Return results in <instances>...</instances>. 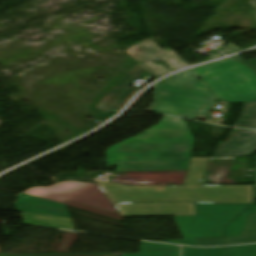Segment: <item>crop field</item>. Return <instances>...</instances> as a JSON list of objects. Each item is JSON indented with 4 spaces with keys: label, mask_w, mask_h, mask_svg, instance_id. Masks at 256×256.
Segmentation results:
<instances>
[{
    "label": "crop field",
    "mask_w": 256,
    "mask_h": 256,
    "mask_svg": "<svg viewBox=\"0 0 256 256\" xmlns=\"http://www.w3.org/2000/svg\"><path fill=\"white\" fill-rule=\"evenodd\" d=\"M209 158H191L183 187L95 181L122 217L194 216V203L252 204L253 186H201Z\"/></svg>",
    "instance_id": "1"
},
{
    "label": "crop field",
    "mask_w": 256,
    "mask_h": 256,
    "mask_svg": "<svg viewBox=\"0 0 256 256\" xmlns=\"http://www.w3.org/2000/svg\"><path fill=\"white\" fill-rule=\"evenodd\" d=\"M145 132L107 149L108 166L117 171L187 170L194 139L184 120L163 116Z\"/></svg>",
    "instance_id": "2"
},
{
    "label": "crop field",
    "mask_w": 256,
    "mask_h": 256,
    "mask_svg": "<svg viewBox=\"0 0 256 256\" xmlns=\"http://www.w3.org/2000/svg\"><path fill=\"white\" fill-rule=\"evenodd\" d=\"M219 99L239 103L256 101V74L231 59L194 68ZM246 82L242 85L240 82Z\"/></svg>",
    "instance_id": "3"
},
{
    "label": "crop field",
    "mask_w": 256,
    "mask_h": 256,
    "mask_svg": "<svg viewBox=\"0 0 256 256\" xmlns=\"http://www.w3.org/2000/svg\"><path fill=\"white\" fill-rule=\"evenodd\" d=\"M155 100L150 111L155 114H168L192 119H204L216 104L212 92L184 89L164 85L153 86ZM197 112L200 113L198 116Z\"/></svg>",
    "instance_id": "4"
},
{
    "label": "crop field",
    "mask_w": 256,
    "mask_h": 256,
    "mask_svg": "<svg viewBox=\"0 0 256 256\" xmlns=\"http://www.w3.org/2000/svg\"><path fill=\"white\" fill-rule=\"evenodd\" d=\"M248 206L195 204V217H174L185 240L164 242L198 246L195 238L223 237L222 227Z\"/></svg>",
    "instance_id": "5"
},
{
    "label": "crop field",
    "mask_w": 256,
    "mask_h": 256,
    "mask_svg": "<svg viewBox=\"0 0 256 256\" xmlns=\"http://www.w3.org/2000/svg\"><path fill=\"white\" fill-rule=\"evenodd\" d=\"M25 193L53 200L59 203H63V200H69L107 211L117 212L107 197L103 194V192L98 188L96 184L93 183L64 182L49 188H32ZM65 203L68 206L123 220L119 214H114L70 202Z\"/></svg>",
    "instance_id": "6"
},
{
    "label": "crop field",
    "mask_w": 256,
    "mask_h": 256,
    "mask_svg": "<svg viewBox=\"0 0 256 256\" xmlns=\"http://www.w3.org/2000/svg\"><path fill=\"white\" fill-rule=\"evenodd\" d=\"M127 52L141 66L150 72L155 79L169 73V71L161 65L156 66L150 61L156 57L160 58L171 70L189 66V64L180 58L176 53L173 51L167 52L166 49L162 50L151 39L137 42V44L128 47Z\"/></svg>",
    "instance_id": "7"
},
{
    "label": "crop field",
    "mask_w": 256,
    "mask_h": 256,
    "mask_svg": "<svg viewBox=\"0 0 256 256\" xmlns=\"http://www.w3.org/2000/svg\"><path fill=\"white\" fill-rule=\"evenodd\" d=\"M256 152V130H233L227 142H219L213 157L252 156Z\"/></svg>",
    "instance_id": "8"
},
{
    "label": "crop field",
    "mask_w": 256,
    "mask_h": 256,
    "mask_svg": "<svg viewBox=\"0 0 256 256\" xmlns=\"http://www.w3.org/2000/svg\"><path fill=\"white\" fill-rule=\"evenodd\" d=\"M146 70L139 64L101 101L96 107L105 112L123 108L126 102L139 90L129 87Z\"/></svg>",
    "instance_id": "9"
},
{
    "label": "crop field",
    "mask_w": 256,
    "mask_h": 256,
    "mask_svg": "<svg viewBox=\"0 0 256 256\" xmlns=\"http://www.w3.org/2000/svg\"><path fill=\"white\" fill-rule=\"evenodd\" d=\"M14 204L18 211L70 218L65 205L29 194L19 193Z\"/></svg>",
    "instance_id": "10"
},
{
    "label": "crop field",
    "mask_w": 256,
    "mask_h": 256,
    "mask_svg": "<svg viewBox=\"0 0 256 256\" xmlns=\"http://www.w3.org/2000/svg\"><path fill=\"white\" fill-rule=\"evenodd\" d=\"M21 215L25 219L24 223L27 224L75 230L71 219L35 215L24 212H22Z\"/></svg>",
    "instance_id": "11"
},
{
    "label": "crop field",
    "mask_w": 256,
    "mask_h": 256,
    "mask_svg": "<svg viewBox=\"0 0 256 256\" xmlns=\"http://www.w3.org/2000/svg\"><path fill=\"white\" fill-rule=\"evenodd\" d=\"M193 75L194 78H191ZM171 77H174V79H171ZM171 77L163 83L178 87L210 91L203 81H195L199 76L193 69L177 73Z\"/></svg>",
    "instance_id": "12"
},
{
    "label": "crop field",
    "mask_w": 256,
    "mask_h": 256,
    "mask_svg": "<svg viewBox=\"0 0 256 256\" xmlns=\"http://www.w3.org/2000/svg\"><path fill=\"white\" fill-rule=\"evenodd\" d=\"M121 256H179V247L141 242L140 254H121Z\"/></svg>",
    "instance_id": "13"
},
{
    "label": "crop field",
    "mask_w": 256,
    "mask_h": 256,
    "mask_svg": "<svg viewBox=\"0 0 256 256\" xmlns=\"http://www.w3.org/2000/svg\"><path fill=\"white\" fill-rule=\"evenodd\" d=\"M225 239L226 245L256 243V213L249 214L240 237Z\"/></svg>",
    "instance_id": "14"
},
{
    "label": "crop field",
    "mask_w": 256,
    "mask_h": 256,
    "mask_svg": "<svg viewBox=\"0 0 256 256\" xmlns=\"http://www.w3.org/2000/svg\"><path fill=\"white\" fill-rule=\"evenodd\" d=\"M234 126L256 128V102L245 103Z\"/></svg>",
    "instance_id": "15"
},
{
    "label": "crop field",
    "mask_w": 256,
    "mask_h": 256,
    "mask_svg": "<svg viewBox=\"0 0 256 256\" xmlns=\"http://www.w3.org/2000/svg\"><path fill=\"white\" fill-rule=\"evenodd\" d=\"M256 212V204L254 203L234 221L224 227L225 237L240 236L244 223L249 213Z\"/></svg>",
    "instance_id": "16"
},
{
    "label": "crop field",
    "mask_w": 256,
    "mask_h": 256,
    "mask_svg": "<svg viewBox=\"0 0 256 256\" xmlns=\"http://www.w3.org/2000/svg\"><path fill=\"white\" fill-rule=\"evenodd\" d=\"M182 256H225L224 248L193 249L184 247Z\"/></svg>",
    "instance_id": "17"
},
{
    "label": "crop field",
    "mask_w": 256,
    "mask_h": 256,
    "mask_svg": "<svg viewBox=\"0 0 256 256\" xmlns=\"http://www.w3.org/2000/svg\"><path fill=\"white\" fill-rule=\"evenodd\" d=\"M228 256H256V245L227 247Z\"/></svg>",
    "instance_id": "18"
},
{
    "label": "crop field",
    "mask_w": 256,
    "mask_h": 256,
    "mask_svg": "<svg viewBox=\"0 0 256 256\" xmlns=\"http://www.w3.org/2000/svg\"><path fill=\"white\" fill-rule=\"evenodd\" d=\"M0 256H118V254H0Z\"/></svg>",
    "instance_id": "19"
},
{
    "label": "crop field",
    "mask_w": 256,
    "mask_h": 256,
    "mask_svg": "<svg viewBox=\"0 0 256 256\" xmlns=\"http://www.w3.org/2000/svg\"><path fill=\"white\" fill-rule=\"evenodd\" d=\"M199 246L211 247L224 245L223 238L196 239Z\"/></svg>",
    "instance_id": "20"
},
{
    "label": "crop field",
    "mask_w": 256,
    "mask_h": 256,
    "mask_svg": "<svg viewBox=\"0 0 256 256\" xmlns=\"http://www.w3.org/2000/svg\"><path fill=\"white\" fill-rule=\"evenodd\" d=\"M228 46H229L228 48H222L221 47L218 50L225 53V54H231V53H234V52L241 51L239 48L235 47L232 44H229Z\"/></svg>",
    "instance_id": "21"
},
{
    "label": "crop field",
    "mask_w": 256,
    "mask_h": 256,
    "mask_svg": "<svg viewBox=\"0 0 256 256\" xmlns=\"http://www.w3.org/2000/svg\"><path fill=\"white\" fill-rule=\"evenodd\" d=\"M234 58L237 59V60H239V61H241L242 63H244V64H246V65L252 67V68L256 71V60H254V61H252V62L249 63V62L245 61L244 59H242V58H240V57H238V56H236V57H234Z\"/></svg>",
    "instance_id": "22"
},
{
    "label": "crop field",
    "mask_w": 256,
    "mask_h": 256,
    "mask_svg": "<svg viewBox=\"0 0 256 256\" xmlns=\"http://www.w3.org/2000/svg\"><path fill=\"white\" fill-rule=\"evenodd\" d=\"M222 56H224L223 54H221V53H218V54H215V55H213V56H211V57H209L210 59H214V58H218V57H222Z\"/></svg>",
    "instance_id": "23"
},
{
    "label": "crop field",
    "mask_w": 256,
    "mask_h": 256,
    "mask_svg": "<svg viewBox=\"0 0 256 256\" xmlns=\"http://www.w3.org/2000/svg\"><path fill=\"white\" fill-rule=\"evenodd\" d=\"M252 4L255 6L256 8V0H251Z\"/></svg>",
    "instance_id": "24"
}]
</instances>
